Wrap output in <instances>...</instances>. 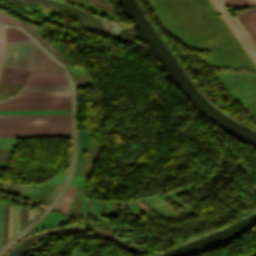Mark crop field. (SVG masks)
<instances>
[{
  "mask_svg": "<svg viewBox=\"0 0 256 256\" xmlns=\"http://www.w3.org/2000/svg\"><path fill=\"white\" fill-rule=\"evenodd\" d=\"M71 124L0 125V136L70 135Z\"/></svg>",
  "mask_w": 256,
  "mask_h": 256,
  "instance_id": "3",
  "label": "crop field"
},
{
  "mask_svg": "<svg viewBox=\"0 0 256 256\" xmlns=\"http://www.w3.org/2000/svg\"><path fill=\"white\" fill-rule=\"evenodd\" d=\"M136 200H137L138 204L140 205L141 209H145L144 205L141 203V201L139 200V198L136 199Z\"/></svg>",
  "mask_w": 256,
  "mask_h": 256,
  "instance_id": "18",
  "label": "crop field"
},
{
  "mask_svg": "<svg viewBox=\"0 0 256 256\" xmlns=\"http://www.w3.org/2000/svg\"><path fill=\"white\" fill-rule=\"evenodd\" d=\"M19 95H70V92L21 91Z\"/></svg>",
  "mask_w": 256,
  "mask_h": 256,
  "instance_id": "15",
  "label": "crop field"
},
{
  "mask_svg": "<svg viewBox=\"0 0 256 256\" xmlns=\"http://www.w3.org/2000/svg\"><path fill=\"white\" fill-rule=\"evenodd\" d=\"M68 219L69 218H67V217L48 214L45 217L40 230L45 229V228H49V227H53V226L64 225V224L67 223Z\"/></svg>",
  "mask_w": 256,
  "mask_h": 256,
  "instance_id": "8",
  "label": "crop field"
},
{
  "mask_svg": "<svg viewBox=\"0 0 256 256\" xmlns=\"http://www.w3.org/2000/svg\"><path fill=\"white\" fill-rule=\"evenodd\" d=\"M39 41L45 44L55 55H57L65 64H68L48 43H46L42 38H40L36 33L27 28Z\"/></svg>",
  "mask_w": 256,
  "mask_h": 256,
  "instance_id": "16",
  "label": "crop field"
},
{
  "mask_svg": "<svg viewBox=\"0 0 256 256\" xmlns=\"http://www.w3.org/2000/svg\"><path fill=\"white\" fill-rule=\"evenodd\" d=\"M7 54L5 66L34 70L39 48L31 41L6 43Z\"/></svg>",
  "mask_w": 256,
  "mask_h": 256,
  "instance_id": "2",
  "label": "crop field"
},
{
  "mask_svg": "<svg viewBox=\"0 0 256 256\" xmlns=\"http://www.w3.org/2000/svg\"><path fill=\"white\" fill-rule=\"evenodd\" d=\"M29 71L3 68L0 82L23 86Z\"/></svg>",
  "mask_w": 256,
  "mask_h": 256,
  "instance_id": "6",
  "label": "crop field"
},
{
  "mask_svg": "<svg viewBox=\"0 0 256 256\" xmlns=\"http://www.w3.org/2000/svg\"><path fill=\"white\" fill-rule=\"evenodd\" d=\"M70 109V96H16L0 102V110Z\"/></svg>",
  "mask_w": 256,
  "mask_h": 256,
  "instance_id": "1",
  "label": "crop field"
},
{
  "mask_svg": "<svg viewBox=\"0 0 256 256\" xmlns=\"http://www.w3.org/2000/svg\"><path fill=\"white\" fill-rule=\"evenodd\" d=\"M30 75L65 76L59 66L41 50L39 51L35 71H31Z\"/></svg>",
  "mask_w": 256,
  "mask_h": 256,
  "instance_id": "5",
  "label": "crop field"
},
{
  "mask_svg": "<svg viewBox=\"0 0 256 256\" xmlns=\"http://www.w3.org/2000/svg\"><path fill=\"white\" fill-rule=\"evenodd\" d=\"M29 39L25 34L21 31L13 28H7L6 30V42L10 41H18V40H26Z\"/></svg>",
  "mask_w": 256,
  "mask_h": 256,
  "instance_id": "10",
  "label": "crop field"
},
{
  "mask_svg": "<svg viewBox=\"0 0 256 256\" xmlns=\"http://www.w3.org/2000/svg\"><path fill=\"white\" fill-rule=\"evenodd\" d=\"M2 215H3V205L0 204V247H1V236H2Z\"/></svg>",
  "mask_w": 256,
  "mask_h": 256,
  "instance_id": "17",
  "label": "crop field"
},
{
  "mask_svg": "<svg viewBox=\"0 0 256 256\" xmlns=\"http://www.w3.org/2000/svg\"><path fill=\"white\" fill-rule=\"evenodd\" d=\"M70 123V114L0 115V124Z\"/></svg>",
  "mask_w": 256,
  "mask_h": 256,
  "instance_id": "4",
  "label": "crop field"
},
{
  "mask_svg": "<svg viewBox=\"0 0 256 256\" xmlns=\"http://www.w3.org/2000/svg\"><path fill=\"white\" fill-rule=\"evenodd\" d=\"M27 84L68 85L65 77L30 76Z\"/></svg>",
  "mask_w": 256,
  "mask_h": 256,
  "instance_id": "7",
  "label": "crop field"
},
{
  "mask_svg": "<svg viewBox=\"0 0 256 256\" xmlns=\"http://www.w3.org/2000/svg\"><path fill=\"white\" fill-rule=\"evenodd\" d=\"M8 23H14V24H19L27 27H36L34 25L28 24L26 22L20 21L18 19H15L13 17H10L5 14V12L0 11V24H8ZM39 28V27H37Z\"/></svg>",
  "mask_w": 256,
  "mask_h": 256,
  "instance_id": "13",
  "label": "crop field"
},
{
  "mask_svg": "<svg viewBox=\"0 0 256 256\" xmlns=\"http://www.w3.org/2000/svg\"><path fill=\"white\" fill-rule=\"evenodd\" d=\"M4 30H5V27L0 26V73L4 64V52H5Z\"/></svg>",
  "mask_w": 256,
  "mask_h": 256,
  "instance_id": "14",
  "label": "crop field"
},
{
  "mask_svg": "<svg viewBox=\"0 0 256 256\" xmlns=\"http://www.w3.org/2000/svg\"><path fill=\"white\" fill-rule=\"evenodd\" d=\"M27 113H70V110L0 111V114H27Z\"/></svg>",
  "mask_w": 256,
  "mask_h": 256,
  "instance_id": "12",
  "label": "crop field"
},
{
  "mask_svg": "<svg viewBox=\"0 0 256 256\" xmlns=\"http://www.w3.org/2000/svg\"><path fill=\"white\" fill-rule=\"evenodd\" d=\"M23 90L70 91L69 86L25 85Z\"/></svg>",
  "mask_w": 256,
  "mask_h": 256,
  "instance_id": "9",
  "label": "crop field"
},
{
  "mask_svg": "<svg viewBox=\"0 0 256 256\" xmlns=\"http://www.w3.org/2000/svg\"><path fill=\"white\" fill-rule=\"evenodd\" d=\"M73 188L74 187L68 188L66 193L63 195V197L60 199V201L54 207L55 209L66 212L69 201H70V198H71V195H72Z\"/></svg>",
  "mask_w": 256,
  "mask_h": 256,
  "instance_id": "11",
  "label": "crop field"
}]
</instances>
